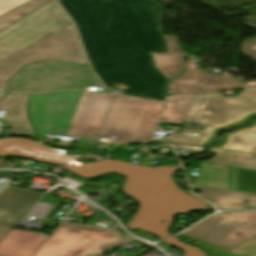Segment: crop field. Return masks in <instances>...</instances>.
Masks as SVG:
<instances>
[{
	"instance_id": "8a807250",
	"label": "crop field",
	"mask_w": 256,
	"mask_h": 256,
	"mask_svg": "<svg viewBox=\"0 0 256 256\" xmlns=\"http://www.w3.org/2000/svg\"><path fill=\"white\" fill-rule=\"evenodd\" d=\"M75 21L90 63L107 87L164 101L167 79L152 52H167L153 0H59Z\"/></svg>"
},
{
	"instance_id": "ac0d7876",
	"label": "crop field",
	"mask_w": 256,
	"mask_h": 256,
	"mask_svg": "<svg viewBox=\"0 0 256 256\" xmlns=\"http://www.w3.org/2000/svg\"><path fill=\"white\" fill-rule=\"evenodd\" d=\"M256 112V88L244 89L238 96L224 98L220 93L194 98L184 122L207 125L205 131L183 128L181 133L203 134L202 138L180 135L172 140L201 145L217 127L233 124Z\"/></svg>"
},
{
	"instance_id": "34b2d1b8",
	"label": "crop field",
	"mask_w": 256,
	"mask_h": 256,
	"mask_svg": "<svg viewBox=\"0 0 256 256\" xmlns=\"http://www.w3.org/2000/svg\"><path fill=\"white\" fill-rule=\"evenodd\" d=\"M89 83V84H86ZM86 65L45 60L25 65L8 80L7 94L100 86Z\"/></svg>"
},
{
	"instance_id": "412701ff",
	"label": "crop field",
	"mask_w": 256,
	"mask_h": 256,
	"mask_svg": "<svg viewBox=\"0 0 256 256\" xmlns=\"http://www.w3.org/2000/svg\"><path fill=\"white\" fill-rule=\"evenodd\" d=\"M129 240L112 229L63 222L35 256H98Z\"/></svg>"
},
{
	"instance_id": "f4fd0767",
	"label": "crop field",
	"mask_w": 256,
	"mask_h": 256,
	"mask_svg": "<svg viewBox=\"0 0 256 256\" xmlns=\"http://www.w3.org/2000/svg\"><path fill=\"white\" fill-rule=\"evenodd\" d=\"M162 104L139 98L116 96L99 137L117 135L114 142L145 143L155 125ZM121 138V141L117 140Z\"/></svg>"
},
{
	"instance_id": "dd49c442",
	"label": "crop field",
	"mask_w": 256,
	"mask_h": 256,
	"mask_svg": "<svg viewBox=\"0 0 256 256\" xmlns=\"http://www.w3.org/2000/svg\"><path fill=\"white\" fill-rule=\"evenodd\" d=\"M237 233L242 235L236 238ZM180 236L194 241L193 245L212 250L211 256H221L256 236V211L216 215Z\"/></svg>"
},
{
	"instance_id": "e52e79f7",
	"label": "crop field",
	"mask_w": 256,
	"mask_h": 256,
	"mask_svg": "<svg viewBox=\"0 0 256 256\" xmlns=\"http://www.w3.org/2000/svg\"><path fill=\"white\" fill-rule=\"evenodd\" d=\"M45 59H61L77 64H86L73 25L1 60L0 91L6 89L7 79L25 64Z\"/></svg>"
},
{
	"instance_id": "d8731c3e",
	"label": "crop field",
	"mask_w": 256,
	"mask_h": 256,
	"mask_svg": "<svg viewBox=\"0 0 256 256\" xmlns=\"http://www.w3.org/2000/svg\"><path fill=\"white\" fill-rule=\"evenodd\" d=\"M70 24L53 0L0 32V60Z\"/></svg>"
},
{
	"instance_id": "5a996713",
	"label": "crop field",
	"mask_w": 256,
	"mask_h": 256,
	"mask_svg": "<svg viewBox=\"0 0 256 256\" xmlns=\"http://www.w3.org/2000/svg\"><path fill=\"white\" fill-rule=\"evenodd\" d=\"M40 195L10 186L3 189L0 193V243Z\"/></svg>"
},
{
	"instance_id": "3316defc",
	"label": "crop field",
	"mask_w": 256,
	"mask_h": 256,
	"mask_svg": "<svg viewBox=\"0 0 256 256\" xmlns=\"http://www.w3.org/2000/svg\"><path fill=\"white\" fill-rule=\"evenodd\" d=\"M223 89V76L216 73H203L197 64H189L187 73L171 81L169 93L194 96Z\"/></svg>"
},
{
	"instance_id": "28ad6ade",
	"label": "crop field",
	"mask_w": 256,
	"mask_h": 256,
	"mask_svg": "<svg viewBox=\"0 0 256 256\" xmlns=\"http://www.w3.org/2000/svg\"><path fill=\"white\" fill-rule=\"evenodd\" d=\"M69 91L32 95L28 104L36 132L49 133Z\"/></svg>"
},
{
	"instance_id": "d1516ede",
	"label": "crop field",
	"mask_w": 256,
	"mask_h": 256,
	"mask_svg": "<svg viewBox=\"0 0 256 256\" xmlns=\"http://www.w3.org/2000/svg\"><path fill=\"white\" fill-rule=\"evenodd\" d=\"M41 234L13 230L0 245V254L8 256H34L48 239Z\"/></svg>"
},
{
	"instance_id": "22f410ed",
	"label": "crop field",
	"mask_w": 256,
	"mask_h": 256,
	"mask_svg": "<svg viewBox=\"0 0 256 256\" xmlns=\"http://www.w3.org/2000/svg\"><path fill=\"white\" fill-rule=\"evenodd\" d=\"M194 189H201L203 193L196 194L214 203L218 208L236 209L256 207V195L247 194L205 186L191 185Z\"/></svg>"
},
{
	"instance_id": "cbeb9de0",
	"label": "crop field",
	"mask_w": 256,
	"mask_h": 256,
	"mask_svg": "<svg viewBox=\"0 0 256 256\" xmlns=\"http://www.w3.org/2000/svg\"><path fill=\"white\" fill-rule=\"evenodd\" d=\"M168 53H152L155 67L168 79L184 72V58L176 37L164 36Z\"/></svg>"
},
{
	"instance_id": "5142ce71",
	"label": "crop field",
	"mask_w": 256,
	"mask_h": 256,
	"mask_svg": "<svg viewBox=\"0 0 256 256\" xmlns=\"http://www.w3.org/2000/svg\"><path fill=\"white\" fill-rule=\"evenodd\" d=\"M29 95L15 96L10 98V102L4 117L11 128L8 134L34 132L29 123L26 104Z\"/></svg>"
},
{
	"instance_id": "d9b57169",
	"label": "crop field",
	"mask_w": 256,
	"mask_h": 256,
	"mask_svg": "<svg viewBox=\"0 0 256 256\" xmlns=\"http://www.w3.org/2000/svg\"><path fill=\"white\" fill-rule=\"evenodd\" d=\"M115 95L98 96L88 123L81 135L82 138L96 139Z\"/></svg>"
},
{
	"instance_id": "733c2abd",
	"label": "crop field",
	"mask_w": 256,
	"mask_h": 256,
	"mask_svg": "<svg viewBox=\"0 0 256 256\" xmlns=\"http://www.w3.org/2000/svg\"><path fill=\"white\" fill-rule=\"evenodd\" d=\"M84 92L70 91L50 133L65 135Z\"/></svg>"
},
{
	"instance_id": "4a817a6b",
	"label": "crop field",
	"mask_w": 256,
	"mask_h": 256,
	"mask_svg": "<svg viewBox=\"0 0 256 256\" xmlns=\"http://www.w3.org/2000/svg\"><path fill=\"white\" fill-rule=\"evenodd\" d=\"M210 151L216 153L215 157L204 161L256 170V155L254 154L233 152L215 148H211Z\"/></svg>"
},
{
	"instance_id": "bc2a9ffb",
	"label": "crop field",
	"mask_w": 256,
	"mask_h": 256,
	"mask_svg": "<svg viewBox=\"0 0 256 256\" xmlns=\"http://www.w3.org/2000/svg\"><path fill=\"white\" fill-rule=\"evenodd\" d=\"M98 94L85 92L66 135L80 137Z\"/></svg>"
},
{
	"instance_id": "214f88e0",
	"label": "crop field",
	"mask_w": 256,
	"mask_h": 256,
	"mask_svg": "<svg viewBox=\"0 0 256 256\" xmlns=\"http://www.w3.org/2000/svg\"><path fill=\"white\" fill-rule=\"evenodd\" d=\"M224 165L201 161L200 169L193 184L221 188Z\"/></svg>"
},
{
	"instance_id": "92a150f3",
	"label": "crop field",
	"mask_w": 256,
	"mask_h": 256,
	"mask_svg": "<svg viewBox=\"0 0 256 256\" xmlns=\"http://www.w3.org/2000/svg\"><path fill=\"white\" fill-rule=\"evenodd\" d=\"M222 148L256 154V126L230 135Z\"/></svg>"
},
{
	"instance_id": "dafd665d",
	"label": "crop field",
	"mask_w": 256,
	"mask_h": 256,
	"mask_svg": "<svg viewBox=\"0 0 256 256\" xmlns=\"http://www.w3.org/2000/svg\"><path fill=\"white\" fill-rule=\"evenodd\" d=\"M192 100L184 97L169 99L160 122L182 124Z\"/></svg>"
},
{
	"instance_id": "00972430",
	"label": "crop field",
	"mask_w": 256,
	"mask_h": 256,
	"mask_svg": "<svg viewBox=\"0 0 256 256\" xmlns=\"http://www.w3.org/2000/svg\"><path fill=\"white\" fill-rule=\"evenodd\" d=\"M52 0H31L0 16V31Z\"/></svg>"
},
{
	"instance_id": "a9b5d70f",
	"label": "crop field",
	"mask_w": 256,
	"mask_h": 256,
	"mask_svg": "<svg viewBox=\"0 0 256 256\" xmlns=\"http://www.w3.org/2000/svg\"><path fill=\"white\" fill-rule=\"evenodd\" d=\"M223 256H256V237L234 248Z\"/></svg>"
},
{
	"instance_id": "4177f3b9",
	"label": "crop field",
	"mask_w": 256,
	"mask_h": 256,
	"mask_svg": "<svg viewBox=\"0 0 256 256\" xmlns=\"http://www.w3.org/2000/svg\"><path fill=\"white\" fill-rule=\"evenodd\" d=\"M245 26L256 29V23L245 24ZM242 53L256 61V38L254 40L246 39L242 42Z\"/></svg>"
},
{
	"instance_id": "730fd06b",
	"label": "crop field",
	"mask_w": 256,
	"mask_h": 256,
	"mask_svg": "<svg viewBox=\"0 0 256 256\" xmlns=\"http://www.w3.org/2000/svg\"><path fill=\"white\" fill-rule=\"evenodd\" d=\"M29 0H0V15Z\"/></svg>"
},
{
	"instance_id": "eef30255",
	"label": "crop field",
	"mask_w": 256,
	"mask_h": 256,
	"mask_svg": "<svg viewBox=\"0 0 256 256\" xmlns=\"http://www.w3.org/2000/svg\"><path fill=\"white\" fill-rule=\"evenodd\" d=\"M255 115H256V114H250V115H248L247 117H245L244 119H242L241 121H239L238 123L233 124V125H229V126H226V127H222V128L229 129V128L232 127V126L244 124V123H246L251 117H253V116H255ZM219 129H220V128H217V129L215 130L214 134L208 139V141H207L203 146H206V145H208L209 143L214 142V141H216V140L218 139V137L216 136V134H217V132H218Z\"/></svg>"
},
{
	"instance_id": "ae1a2a85",
	"label": "crop field",
	"mask_w": 256,
	"mask_h": 256,
	"mask_svg": "<svg viewBox=\"0 0 256 256\" xmlns=\"http://www.w3.org/2000/svg\"><path fill=\"white\" fill-rule=\"evenodd\" d=\"M255 125H256V120H254V122L252 124L248 125V126H242V127H239L237 129L233 130L232 132H228V133L223 134L222 135L223 136L222 140L220 142H218L216 145H214L213 147L221 148L226 143V141L228 140V136L230 134H232V133H234L236 131H240V130L251 128V127H253Z\"/></svg>"
},
{
	"instance_id": "d3111659",
	"label": "crop field",
	"mask_w": 256,
	"mask_h": 256,
	"mask_svg": "<svg viewBox=\"0 0 256 256\" xmlns=\"http://www.w3.org/2000/svg\"><path fill=\"white\" fill-rule=\"evenodd\" d=\"M241 87V82L224 77V89Z\"/></svg>"
},
{
	"instance_id": "750c4746",
	"label": "crop field",
	"mask_w": 256,
	"mask_h": 256,
	"mask_svg": "<svg viewBox=\"0 0 256 256\" xmlns=\"http://www.w3.org/2000/svg\"><path fill=\"white\" fill-rule=\"evenodd\" d=\"M6 101H7V97L0 98V110L5 109Z\"/></svg>"
},
{
	"instance_id": "bd1437ed",
	"label": "crop field",
	"mask_w": 256,
	"mask_h": 256,
	"mask_svg": "<svg viewBox=\"0 0 256 256\" xmlns=\"http://www.w3.org/2000/svg\"><path fill=\"white\" fill-rule=\"evenodd\" d=\"M188 151L192 152V153H198V154L202 153V151H197V150H193V149H190V148H188Z\"/></svg>"
},
{
	"instance_id": "1d83c4d3",
	"label": "crop field",
	"mask_w": 256,
	"mask_h": 256,
	"mask_svg": "<svg viewBox=\"0 0 256 256\" xmlns=\"http://www.w3.org/2000/svg\"><path fill=\"white\" fill-rule=\"evenodd\" d=\"M166 142H168V143H170V144H172V145H175V144H182V143H177V142H171V141H166ZM182 145H189V144H182ZM194 146H196V145H194ZM201 147V146H200Z\"/></svg>"
},
{
	"instance_id": "120bbe31",
	"label": "crop field",
	"mask_w": 256,
	"mask_h": 256,
	"mask_svg": "<svg viewBox=\"0 0 256 256\" xmlns=\"http://www.w3.org/2000/svg\"><path fill=\"white\" fill-rule=\"evenodd\" d=\"M24 136L31 137V138H37L36 134H25Z\"/></svg>"
},
{
	"instance_id": "d32e631a",
	"label": "crop field",
	"mask_w": 256,
	"mask_h": 256,
	"mask_svg": "<svg viewBox=\"0 0 256 256\" xmlns=\"http://www.w3.org/2000/svg\"><path fill=\"white\" fill-rule=\"evenodd\" d=\"M37 137H38V138H45L46 135H45V134H37Z\"/></svg>"
},
{
	"instance_id": "5866460e",
	"label": "crop field",
	"mask_w": 256,
	"mask_h": 256,
	"mask_svg": "<svg viewBox=\"0 0 256 256\" xmlns=\"http://www.w3.org/2000/svg\"><path fill=\"white\" fill-rule=\"evenodd\" d=\"M0 97H2V96H0Z\"/></svg>"
}]
</instances>
